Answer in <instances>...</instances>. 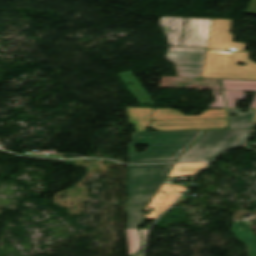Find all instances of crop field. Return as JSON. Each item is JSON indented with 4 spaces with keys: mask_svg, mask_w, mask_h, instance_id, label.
Segmentation results:
<instances>
[{
    "mask_svg": "<svg viewBox=\"0 0 256 256\" xmlns=\"http://www.w3.org/2000/svg\"><path fill=\"white\" fill-rule=\"evenodd\" d=\"M129 123L136 131L148 126L158 131L226 128L225 110H208L199 116H185L172 109L126 108ZM223 113V115L221 114ZM225 117L209 120L208 118Z\"/></svg>",
    "mask_w": 256,
    "mask_h": 256,
    "instance_id": "obj_1",
    "label": "crop field"
},
{
    "mask_svg": "<svg viewBox=\"0 0 256 256\" xmlns=\"http://www.w3.org/2000/svg\"><path fill=\"white\" fill-rule=\"evenodd\" d=\"M203 131L134 132L129 143L128 164L175 162ZM141 144H148L146 152L134 154V145Z\"/></svg>",
    "mask_w": 256,
    "mask_h": 256,
    "instance_id": "obj_2",
    "label": "crop field"
},
{
    "mask_svg": "<svg viewBox=\"0 0 256 256\" xmlns=\"http://www.w3.org/2000/svg\"><path fill=\"white\" fill-rule=\"evenodd\" d=\"M173 164L133 165L127 172L128 220L126 228H137L144 221L142 209L160 186Z\"/></svg>",
    "mask_w": 256,
    "mask_h": 256,
    "instance_id": "obj_3",
    "label": "crop field"
},
{
    "mask_svg": "<svg viewBox=\"0 0 256 256\" xmlns=\"http://www.w3.org/2000/svg\"><path fill=\"white\" fill-rule=\"evenodd\" d=\"M252 129L206 130L177 162L210 161L224 150L246 143Z\"/></svg>",
    "mask_w": 256,
    "mask_h": 256,
    "instance_id": "obj_4",
    "label": "crop field"
},
{
    "mask_svg": "<svg viewBox=\"0 0 256 256\" xmlns=\"http://www.w3.org/2000/svg\"><path fill=\"white\" fill-rule=\"evenodd\" d=\"M249 54L207 50L201 78L256 80V63L248 59ZM239 62L246 63V66H237Z\"/></svg>",
    "mask_w": 256,
    "mask_h": 256,
    "instance_id": "obj_5",
    "label": "crop field"
},
{
    "mask_svg": "<svg viewBox=\"0 0 256 256\" xmlns=\"http://www.w3.org/2000/svg\"><path fill=\"white\" fill-rule=\"evenodd\" d=\"M168 48L166 59L175 65L178 77L200 78L206 49Z\"/></svg>",
    "mask_w": 256,
    "mask_h": 256,
    "instance_id": "obj_6",
    "label": "crop field"
},
{
    "mask_svg": "<svg viewBox=\"0 0 256 256\" xmlns=\"http://www.w3.org/2000/svg\"><path fill=\"white\" fill-rule=\"evenodd\" d=\"M212 19L186 18L180 47L206 48Z\"/></svg>",
    "mask_w": 256,
    "mask_h": 256,
    "instance_id": "obj_7",
    "label": "crop field"
},
{
    "mask_svg": "<svg viewBox=\"0 0 256 256\" xmlns=\"http://www.w3.org/2000/svg\"><path fill=\"white\" fill-rule=\"evenodd\" d=\"M232 22L233 20H213L207 48L224 51H228V49L245 50V44L232 42L234 36L229 34Z\"/></svg>",
    "mask_w": 256,
    "mask_h": 256,
    "instance_id": "obj_8",
    "label": "crop field"
},
{
    "mask_svg": "<svg viewBox=\"0 0 256 256\" xmlns=\"http://www.w3.org/2000/svg\"><path fill=\"white\" fill-rule=\"evenodd\" d=\"M184 189V187L162 184L151 203L145 209L150 214L149 216L145 214L147 219L155 220L156 217H158L174 202V200L180 195L179 193ZM161 190L165 193H161ZM149 207L153 209L152 212L149 211Z\"/></svg>",
    "mask_w": 256,
    "mask_h": 256,
    "instance_id": "obj_9",
    "label": "crop field"
},
{
    "mask_svg": "<svg viewBox=\"0 0 256 256\" xmlns=\"http://www.w3.org/2000/svg\"><path fill=\"white\" fill-rule=\"evenodd\" d=\"M185 18H165L160 20V27L164 34L168 37L170 46L179 47Z\"/></svg>",
    "mask_w": 256,
    "mask_h": 256,
    "instance_id": "obj_10",
    "label": "crop field"
},
{
    "mask_svg": "<svg viewBox=\"0 0 256 256\" xmlns=\"http://www.w3.org/2000/svg\"><path fill=\"white\" fill-rule=\"evenodd\" d=\"M118 76L139 104H154L130 70L118 73Z\"/></svg>",
    "mask_w": 256,
    "mask_h": 256,
    "instance_id": "obj_11",
    "label": "crop field"
},
{
    "mask_svg": "<svg viewBox=\"0 0 256 256\" xmlns=\"http://www.w3.org/2000/svg\"><path fill=\"white\" fill-rule=\"evenodd\" d=\"M245 225V222H234L232 231L243 243L248 245L250 256H256V237L250 227H245Z\"/></svg>",
    "mask_w": 256,
    "mask_h": 256,
    "instance_id": "obj_12",
    "label": "crop field"
},
{
    "mask_svg": "<svg viewBox=\"0 0 256 256\" xmlns=\"http://www.w3.org/2000/svg\"><path fill=\"white\" fill-rule=\"evenodd\" d=\"M256 110H248V113H240V110L228 109V129L251 128L252 116ZM231 113H237L238 117H230Z\"/></svg>",
    "mask_w": 256,
    "mask_h": 256,
    "instance_id": "obj_13",
    "label": "crop field"
},
{
    "mask_svg": "<svg viewBox=\"0 0 256 256\" xmlns=\"http://www.w3.org/2000/svg\"><path fill=\"white\" fill-rule=\"evenodd\" d=\"M223 90L256 91V81L220 80Z\"/></svg>",
    "mask_w": 256,
    "mask_h": 256,
    "instance_id": "obj_14",
    "label": "crop field"
},
{
    "mask_svg": "<svg viewBox=\"0 0 256 256\" xmlns=\"http://www.w3.org/2000/svg\"><path fill=\"white\" fill-rule=\"evenodd\" d=\"M206 163L175 164L169 176H193Z\"/></svg>",
    "mask_w": 256,
    "mask_h": 256,
    "instance_id": "obj_15",
    "label": "crop field"
},
{
    "mask_svg": "<svg viewBox=\"0 0 256 256\" xmlns=\"http://www.w3.org/2000/svg\"><path fill=\"white\" fill-rule=\"evenodd\" d=\"M128 248H129V255L136 253L140 248V233L138 229H125Z\"/></svg>",
    "mask_w": 256,
    "mask_h": 256,
    "instance_id": "obj_16",
    "label": "crop field"
},
{
    "mask_svg": "<svg viewBox=\"0 0 256 256\" xmlns=\"http://www.w3.org/2000/svg\"><path fill=\"white\" fill-rule=\"evenodd\" d=\"M223 92L227 101V108H235V102L245 98L244 92H232V91H223Z\"/></svg>",
    "mask_w": 256,
    "mask_h": 256,
    "instance_id": "obj_17",
    "label": "crop field"
},
{
    "mask_svg": "<svg viewBox=\"0 0 256 256\" xmlns=\"http://www.w3.org/2000/svg\"><path fill=\"white\" fill-rule=\"evenodd\" d=\"M218 92H220V91H218ZM213 94L216 98V101L214 103L210 104V108H225V103H224L221 92H220L221 96H218L217 91H213Z\"/></svg>",
    "mask_w": 256,
    "mask_h": 256,
    "instance_id": "obj_18",
    "label": "crop field"
},
{
    "mask_svg": "<svg viewBox=\"0 0 256 256\" xmlns=\"http://www.w3.org/2000/svg\"><path fill=\"white\" fill-rule=\"evenodd\" d=\"M251 2V1H250ZM245 13L256 15V0H252Z\"/></svg>",
    "mask_w": 256,
    "mask_h": 256,
    "instance_id": "obj_19",
    "label": "crop field"
},
{
    "mask_svg": "<svg viewBox=\"0 0 256 256\" xmlns=\"http://www.w3.org/2000/svg\"><path fill=\"white\" fill-rule=\"evenodd\" d=\"M147 230H148V229L141 230L143 244H144V240H145V236H146Z\"/></svg>",
    "mask_w": 256,
    "mask_h": 256,
    "instance_id": "obj_20",
    "label": "crop field"
},
{
    "mask_svg": "<svg viewBox=\"0 0 256 256\" xmlns=\"http://www.w3.org/2000/svg\"><path fill=\"white\" fill-rule=\"evenodd\" d=\"M250 108H256V96Z\"/></svg>",
    "mask_w": 256,
    "mask_h": 256,
    "instance_id": "obj_21",
    "label": "crop field"
},
{
    "mask_svg": "<svg viewBox=\"0 0 256 256\" xmlns=\"http://www.w3.org/2000/svg\"><path fill=\"white\" fill-rule=\"evenodd\" d=\"M138 253H139V252H138ZM134 256H142V252L139 253V254H136V255H134Z\"/></svg>",
    "mask_w": 256,
    "mask_h": 256,
    "instance_id": "obj_22",
    "label": "crop field"
},
{
    "mask_svg": "<svg viewBox=\"0 0 256 256\" xmlns=\"http://www.w3.org/2000/svg\"><path fill=\"white\" fill-rule=\"evenodd\" d=\"M255 122H256V117H255Z\"/></svg>",
    "mask_w": 256,
    "mask_h": 256,
    "instance_id": "obj_23",
    "label": "crop field"
}]
</instances>
